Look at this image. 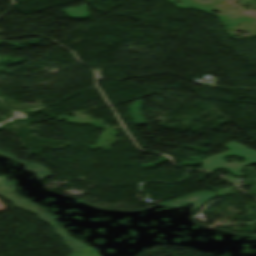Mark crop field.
Segmentation results:
<instances>
[{
	"label": "crop field",
	"instance_id": "obj_1",
	"mask_svg": "<svg viewBox=\"0 0 256 256\" xmlns=\"http://www.w3.org/2000/svg\"><path fill=\"white\" fill-rule=\"evenodd\" d=\"M228 148L232 149L231 151L224 153L219 156H215L212 158L205 159L203 162V166L206 170L213 171L216 168H226L231 173L236 176H243L239 173V170L244 167L246 164H253L256 163V152L251 151L243 146H240L235 143H230L227 146ZM230 155H237L244 157L246 162L244 164H237V163H225L222 158L225 156Z\"/></svg>",
	"mask_w": 256,
	"mask_h": 256
}]
</instances>
